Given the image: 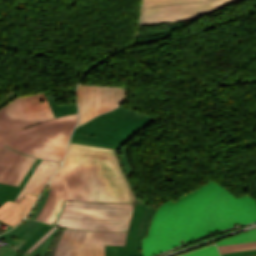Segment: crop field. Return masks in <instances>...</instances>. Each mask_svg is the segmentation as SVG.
I'll return each mask as SVG.
<instances>
[{
  "label": "crop field",
  "instance_id": "1",
  "mask_svg": "<svg viewBox=\"0 0 256 256\" xmlns=\"http://www.w3.org/2000/svg\"><path fill=\"white\" fill-rule=\"evenodd\" d=\"M36 220L83 230L128 231L136 196L115 150L70 143Z\"/></svg>",
  "mask_w": 256,
  "mask_h": 256
},
{
  "label": "crop field",
  "instance_id": "2",
  "mask_svg": "<svg viewBox=\"0 0 256 256\" xmlns=\"http://www.w3.org/2000/svg\"><path fill=\"white\" fill-rule=\"evenodd\" d=\"M256 222V201L232 193L211 181L188 193L176 203L168 201L157 208L142 255L153 256L193 239L233 227Z\"/></svg>",
  "mask_w": 256,
  "mask_h": 256
},
{
  "label": "crop field",
  "instance_id": "3",
  "mask_svg": "<svg viewBox=\"0 0 256 256\" xmlns=\"http://www.w3.org/2000/svg\"><path fill=\"white\" fill-rule=\"evenodd\" d=\"M78 115L54 119L43 93L14 99L0 110V150L63 161Z\"/></svg>",
  "mask_w": 256,
  "mask_h": 256
},
{
  "label": "crop field",
  "instance_id": "4",
  "mask_svg": "<svg viewBox=\"0 0 256 256\" xmlns=\"http://www.w3.org/2000/svg\"><path fill=\"white\" fill-rule=\"evenodd\" d=\"M152 121L148 115L119 107L76 127L71 139L122 146Z\"/></svg>",
  "mask_w": 256,
  "mask_h": 256
},
{
  "label": "crop field",
  "instance_id": "5",
  "mask_svg": "<svg viewBox=\"0 0 256 256\" xmlns=\"http://www.w3.org/2000/svg\"><path fill=\"white\" fill-rule=\"evenodd\" d=\"M238 0H144L141 24L200 18L205 12Z\"/></svg>",
  "mask_w": 256,
  "mask_h": 256
},
{
  "label": "crop field",
  "instance_id": "6",
  "mask_svg": "<svg viewBox=\"0 0 256 256\" xmlns=\"http://www.w3.org/2000/svg\"><path fill=\"white\" fill-rule=\"evenodd\" d=\"M127 233L67 228L55 256H105V245H125Z\"/></svg>",
  "mask_w": 256,
  "mask_h": 256
},
{
  "label": "crop field",
  "instance_id": "7",
  "mask_svg": "<svg viewBox=\"0 0 256 256\" xmlns=\"http://www.w3.org/2000/svg\"><path fill=\"white\" fill-rule=\"evenodd\" d=\"M126 95L125 88L108 86L79 85L78 107L80 124L116 108Z\"/></svg>",
  "mask_w": 256,
  "mask_h": 256
},
{
  "label": "crop field",
  "instance_id": "8",
  "mask_svg": "<svg viewBox=\"0 0 256 256\" xmlns=\"http://www.w3.org/2000/svg\"><path fill=\"white\" fill-rule=\"evenodd\" d=\"M156 209L137 199L128 231L126 246H106V256H142V237H146L152 215Z\"/></svg>",
  "mask_w": 256,
  "mask_h": 256
},
{
  "label": "crop field",
  "instance_id": "9",
  "mask_svg": "<svg viewBox=\"0 0 256 256\" xmlns=\"http://www.w3.org/2000/svg\"><path fill=\"white\" fill-rule=\"evenodd\" d=\"M35 160L4 146L0 151V183L19 186Z\"/></svg>",
  "mask_w": 256,
  "mask_h": 256
},
{
  "label": "crop field",
  "instance_id": "10",
  "mask_svg": "<svg viewBox=\"0 0 256 256\" xmlns=\"http://www.w3.org/2000/svg\"><path fill=\"white\" fill-rule=\"evenodd\" d=\"M37 195L25 193L20 203L7 201L0 207V221L14 227L20 223L37 199Z\"/></svg>",
  "mask_w": 256,
  "mask_h": 256
},
{
  "label": "crop field",
  "instance_id": "11",
  "mask_svg": "<svg viewBox=\"0 0 256 256\" xmlns=\"http://www.w3.org/2000/svg\"><path fill=\"white\" fill-rule=\"evenodd\" d=\"M61 164L42 160L22 189L15 202L19 203L25 192L40 195L48 179Z\"/></svg>",
  "mask_w": 256,
  "mask_h": 256
},
{
  "label": "crop field",
  "instance_id": "12",
  "mask_svg": "<svg viewBox=\"0 0 256 256\" xmlns=\"http://www.w3.org/2000/svg\"><path fill=\"white\" fill-rule=\"evenodd\" d=\"M41 160L37 159L36 162L33 164V166L28 171L27 175L23 179L22 183L19 187L16 186H10L5 184H0V206L4 204L7 200L14 201V199L17 197L21 189L26 184L27 180L29 179L30 175L34 171V169L37 167V165L40 163Z\"/></svg>",
  "mask_w": 256,
  "mask_h": 256
},
{
  "label": "crop field",
  "instance_id": "13",
  "mask_svg": "<svg viewBox=\"0 0 256 256\" xmlns=\"http://www.w3.org/2000/svg\"><path fill=\"white\" fill-rule=\"evenodd\" d=\"M50 107L52 109V112L55 117L63 116L71 113H77V105H70V106H59L56 104L52 96H46Z\"/></svg>",
  "mask_w": 256,
  "mask_h": 256
},
{
  "label": "crop field",
  "instance_id": "14",
  "mask_svg": "<svg viewBox=\"0 0 256 256\" xmlns=\"http://www.w3.org/2000/svg\"><path fill=\"white\" fill-rule=\"evenodd\" d=\"M251 241H256V229L246 231L244 233L230 237L216 244L221 245V244H231V243H241V242H251Z\"/></svg>",
  "mask_w": 256,
  "mask_h": 256
},
{
  "label": "crop field",
  "instance_id": "15",
  "mask_svg": "<svg viewBox=\"0 0 256 256\" xmlns=\"http://www.w3.org/2000/svg\"><path fill=\"white\" fill-rule=\"evenodd\" d=\"M220 253L256 249V242L218 246Z\"/></svg>",
  "mask_w": 256,
  "mask_h": 256
},
{
  "label": "crop field",
  "instance_id": "16",
  "mask_svg": "<svg viewBox=\"0 0 256 256\" xmlns=\"http://www.w3.org/2000/svg\"><path fill=\"white\" fill-rule=\"evenodd\" d=\"M54 226V225H53ZM51 225L45 224L37 233H35L19 250L27 251L34 243L44 236L51 228Z\"/></svg>",
  "mask_w": 256,
  "mask_h": 256
},
{
  "label": "crop field",
  "instance_id": "17",
  "mask_svg": "<svg viewBox=\"0 0 256 256\" xmlns=\"http://www.w3.org/2000/svg\"><path fill=\"white\" fill-rule=\"evenodd\" d=\"M183 256H221L215 245L188 253Z\"/></svg>",
  "mask_w": 256,
  "mask_h": 256
},
{
  "label": "crop field",
  "instance_id": "18",
  "mask_svg": "<svg viewBox=\"0 0 256 256\" xmlns=\"http://www.w3.org/2000/svg\"><path fill=\"white\" fill-rule=\"evenodd\" d=\"M251 255H256V250L222 254V256H251Z\"/></svg>",
  "mask_w": 256,
  "mask_h": 256
},
{
  "label": "crop field",
  "instance_id": "19",
  "mask_svg": "<svg viewBox=\"0 0 256 256\" xmlns=\"http://www.w3.org/2000/svg\"><path fill=\"white\" fill-rule=\"evenodd\" d=\"M57 227L55 226L51 231H49L43 238H41L35 245H33L28 252H32L38 245H40Z\"/></svg>",
  "mask_w": 256,
  "mask_h": 256
},
{
  "label": "crop field",
  "instance_id": "20",
  "mask_svg": "<svg viewBox=\"0 0 256 256\" xmlns=\"http://www.w3.org/2000/svg\"><path fill=\"white\" fill-rule=\"evenodd\" d=\"M18 253H19V251L17 253H15L10 250L5 256H17Z\"/></svg>",
  "mask_w": 256,
  "mask_h": 256
},
{
  "label": "crop field",
  "instance_id": "21",
  "mask_svg": "<svg viewBox=\"0 0 256 256\" xmlns=\"http://www.w3.org/2000/svg\"><path fill=\"white\" fill-rule=\"evenodd\" d=\"M37 249L38 247L31 254L26 252L24 256H35Z\"/></svg>",
  "mask_w": 256,
  "mask_h": 256
}]
</instances>
